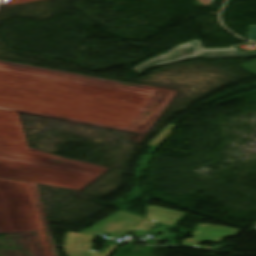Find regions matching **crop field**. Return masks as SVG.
Listing matches in <instances>:
<instances>
[{"instance_id":"2","label":"crop field","mask_w":256,"mask_h":256,"mask_svg":"<svg viewBox=\"0 0 256 256\" xmlns=\"http://www.w3.org/2000/svg\"><path fill=\"white\" fill-rule=\"evenodd\" d=\"M256 53L244 54L234 48L232 49H213L204 50L201 43H197L180 50L158 56L136 68L135 71L140 73L148 68L164 65L180 60L190 59L194 57L202 56L203 58H215V57H235V56H255Z\"/></svg>"},{"instance_id":"8","label":"crop field","mask_w":256,"mask_h":256,"mask_svg":"<svg viewBox=\"0 0 256 256\" xmlns=\"http://www.w3.org/2000/svg\"><path fill=\"white\" fill-rule=\"evenodd\" d=\"M241 66L253 73H255V71H256V61L252 62V63L245 64V65H241Z\"/></svg>"},{"instance_id":"9","label":"crop field","mask_w":256,"mask_h":256,"mask_svg":"<svg viewBox=\"0 0 256 256\" xmlns=\"http://www.w3.org/2000/svg\"><path fill=\"white\" fill-rule=\"evenodd\" d=\"M196 42H199V41L197 40V41H194V42L186 43V44H184V45H182V46H178L177 48H175V49H173V50H171V51L180 49V48H182V47H185V46H188V45H191V44H194V43H196ZM171 51H169V52H171Z\"/></svg>"},{"instance_id":"4","label":"crop field","mask_w":256,"mask_h":256,"mask_svg":"<svg viewBox=\"0 0 256 256\" xmlns=\"http://www.w3.org/2000/svg\"><path fill=\"white\" fill-rule=\"evenodd\" d=\"M183 215H184L183 213H179V212H175V211H171V210H167V209H163V208H159L151 205H149L148 207V220H152V221H156V222H160L168 225H172L175 221H177ZM155 224H156L155 222L145 221L138 229L149 231Z\"/></svg>"},{"instance_id":"6","label":"crop field","mask_w":256,"mask_h":256,"mask_svg":"<svg viewBox=\"0 0 256 256\" xmlns=\"http://www.w3.org/2000/svg\"><path fill=\"white\" fill-rule=\"evenodd\" d=\"M63 249H64L65 253L67 254V256H95L92 254L80 252V251L65 248V247H63Z\"/></svg>"},{"instance_id":"10","label":"crop field","mask_w":256,"mask_h":256,"mask_svg":"<svg viewBox=\"0 0 256 256\" xmlns=\"http://www.w3.org/2000/svg\"><path fill=\"white\" fill-rule=\"evenodd\" d=\"M199 1L202 2L203 4L209 6V5H210L209 2H210L211 0H199Z\"/></svg>"},{"instance_id":"3","label":"crop field","mask_w":256,"mask_h":256,"mask_svg":"<svg viewBox=\"0 0 256 256\" xmlns=\"http://www.w3.org/2000/svg\"><path fill=\"white\" fill-rule=\"evenodd\" d=\"M241 231L242 230L240 229L200 224L195 229L194 233L191 234L194 238L185 239L182 242V245L214 250V248L202 247L198 245H200L202 242L219 244L224 239L237 236Z\"/></svg>"},{"instance_id":"7","label":"crop field","mask_w":256,"mask_h":256,"mask_svg":"<svg viewBox=\"0 0 256 256\" xmlns=\"http://www.w3.org/2000/svg\"><path fill=\"white\" fill-rule=\"evenodd\" d=\"M247 39L252 41L256 40V26H250Z\"/></svg>"},{"instance_id":"1","label":"crop field","mask_w":256,"mask_h":256,"mask_svg":"<svg viewBox=\"0 0 256 256\" xmlns=\"http://www.w3.org/2000/svg\"><path fill=\"white\" fill-rule=\"evenodd\" d=\"M142 220L143 217L120 211L80 234L68 232L64 246L99 256H110L117 246L111 245L104 254L90 250L95 235L123 236L134 230Z\"/></svg>"},{"instance_id":"5","label":"crop field","mask_w":256,"mask_h":256,"mask_svg":"<svg viewBox=\"0 0 256 256\" xmlns=\"http://www.w3.org/2000/svg\"><path fill=\"white\" fill-rule=\"evenodd\" d=\"M176 126L173 124H169L164 130H162L150 143L149 145H157L159 146L162 144L164 141H166L171 135V131L175 128Z\"/></svg>"}]
</instances>
